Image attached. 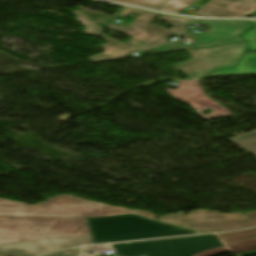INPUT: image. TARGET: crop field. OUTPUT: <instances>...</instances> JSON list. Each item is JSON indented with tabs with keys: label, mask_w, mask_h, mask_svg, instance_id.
Wrapping results in <instances>:
<instances>
[{
	"label": "crop field",
	"mask_w": 256,
	"mask_h": 256,
	"mask_svg": "<svg viewBox=\"0 0 256 256\" xmlns=\"http://www.w3.org/2000/svg\"><path fill=\"white\" fill-rule=\"evenodd\" d=\"M129 11L142 15L137 17L131 25L125 28H120L111 24L105 26L106 28L116 29L129 36L134 37L132 40L125 44L101 33L102 28L89 20L81 11H72V13L76 15L75 20L87 27L83 30L84 33L100 36L108 42V44H104L101 46L104 49L103 53L89 57L92 61L113 59L120 57L123 54L143 51L163 44L166 42V39L169 35L179 36L185 33L186 29L184 27L192 21V19L173 18L162 15L158 19L166 22L169 25H173L171 29L167 30L165 28L150 23L152 19L160 15L157 13L144 12L125 7L118 16L124 17L129 13Z\"/></svg>",
	"instance_id": "8a807250"
},
{
	"label": "crop field",
	"mask_w": 256,
	"mask_h": 256,
	"mask_svg": "<svg viewBox=\"0 0 256 256\" xmlns=\"http://www.w3.org/2000/svg\"><path fill=\"white\" fill-rule=\"evenodd\" d=\"M132 213L155 220V215L145 211L108 206L69 195L49 197L47 201L36 205L0 199L2 216L105 217Z\"/></svg>",
	"instance_id": "ac0d7876"
},
{
	"label": "crop field",
	"mask_w": 256,
	"mask_h": 256,
	"mask_svg": "<svg viewBox=\"0 0 256 256\" xmlns=\"http://www.w3.org/2000/svg\"><path fill=\"white\" fill-rule=\"evenodd\" d=\"M86 234H91L86 218L0 216V243Z\"/></svg>",
	"instance_id": "34b2d1b8"
},
{
	"label": "crop field",
	"mask_w": 256,
	"mask_h": 256,
	"mask_svg": "<svg viewBox=\"0 0 256 256\" xmlns=\"http://www.w3.org/2000/svg\"><path fill=\"white\" fill-rule=\"evenodd\" d=\"M87 220L94 243L195 233L141 216L125 215Z\"/></svg>",
	"instance_id": "412701ff"
},
{
	"label": "crop field",
	"mask_w": 256,
	"mask_h": 256,
	"mask_svg": "<svg viewBox=\"0 0 256 256\" xmlns=\"http://www.w3.org/2000/svg\"><path fill=\"white\" fill-rule=\"evenodd\" d=\"M121 256H213L229 251L213 234L111 244Z\"/></svg>",
	"instance_id": "f4fd0767"
},
{
	"label": "crop field",
	"mask_w": 256,
	"mask_h": 256,
	"mask_svg": "<svg viewBox=\"0 0 256 256\" xmlns=\"http://www.w3.org/2000/svg\"><path fill=\"white\" fill-rule=\"evenodd\" d=\"M246 48L247 44L242 43L189 50L192 58L175 68L191 79L197 78L216 68L235 66Z\"/></svg>",
	"instance_id": "dd49c442"
},
{
	"label": "crop field",
	"mask_w": 256,
	"mask_h": 256,
	"mask_svg": "<svg viewBox=\"0 0 256 256\" xmlns=\"http://www.w3.org/2000/svg\"><path fill=\"white\" fill-rule=\"evenodd\" d=\"M197 22L210 24L212 33L208 35L190 33L189 37L194 40V43L191 45H185L180 42L173 41L154 49L160 53H164L182 49L240 42L243 40L239 37V34L251 26V24L242 21H214L198 19Z\"/></svg>",
	"instance_id": "e52e79f7"
},
{
	"label": "crop field",
	"mask_w": 256,
	"mask_h": 256,
	"mask_svg": "<svg viewBox=\"0 0 256 256\" xmlns=\"http://www.w3.org/2000/svg\"><path fill=\"white\" fill-rule=\"evenodd\" d=\"M93 243L91 235L0 244V256H31L45 252Z\"/></svg>",
	"instance_id": "d8731c3e"
},
{
	"label": "crop field",
	"mask_w": 256,
	"mask_h": 256,
	"mask_svg": "<svg viewBox=\"0 0 256 256\" xmlns=\"http://www.w3.org/2000/svg\"><path fill=\"white\" fill-rule=\"evenodd\" d=\"M199 84L200 81H179L178 90L166 91L172 97L190 104L205 119L232 115L225 107L207 98ZM204 109H212L213 111L208 115H203L201 112Z\"/></svg>",
	"instance_id": "5a996713"
},
{
	"label": "crop field",
	"mask_w": 256,
	"mask_h": 256,
	"mask_svg": "<svg viewBox=\"0 0 256 256\" xmlns=\"http://www.w3.org/2000/svg\"><path fill=\"white\" fill-rule=\"evenodd\" d=\"M256 10V0H210L191 15L203 17H241Z\"/></svg>",
	"instance_id": "3316defc"
},
{
	"label": "crop field",
	"mask_w": 256,
	"mask_h": 256,
	"mask_svg": "<svg viewBox=\"0 0 256 256\" xmlns=\"http://www.w3.org/2000/svg\"><path fill=\"white\" fill-rule=\"evenodd\" d=\"M240 218H245V216L240 213L219 214L217 211L212 210H195L187 215L168 214L160 217L159 220L176 225H183Z\"/></svg>",
	"instance_id": "28ad6ade"
},
{
	"label": "crop field",
	"mask_w": 256,
	"mask_h": 256,
	"mask_svg": "<svg viewBox=\"0 0 256 256\" xmlns=\"http://www.w3.org/2000/svg\"><path fill=\"white\" fill-rule=\"evenodd\" d=\"M219 238L239 256L256 254V228L251 230L220 233Z\"/></svg>",
	"instance_id": "d1516ede"
},
{
	"label": "crop field",
	"mask_w": 256,
	"mask_h": 256,
	"mask_svg": "<svg viewBox=\"0 0 256 256\" xmlns=\"http://www.w3.org/2000/svg\"><path fill=\"white\" fill-rule=\"evenodd\" d=\"M247 219L230 220L212 223H202L193 225H183L181 227L189 228L198 231L199 233L204 232H215V231H226L243 229L256 225V211L245 214Z\"/></svg>",
	"instance_id": "22f410ed"
},
{
	"label": "crop field",
	"mask_w": 256,
	"mask_h": 256,
	"mask_svg": "<svg viewBox=\"0 0 256 256\" xmlns=\"http://www.w3.org/2000/svg\"><path fill=\"white\" fill-rule=\"evenodd\" d=\"M250 50H256V41L248 42ZM256 73V55L246 54L237 64L236 68L217 70L209 76L218 74H244Z\"/></svg>",
	"instance_id": "cbeb9de0"
},
{
	"label": "crop field",
	"mask_w": 256,
	"mask_h": 256,
	"mask_svg": "<svg viewBox=\"0 0 256 256\" xmlns=\"http://www.w3.org/2000/svg\"><path fill=\"white\" fill-rule=\"evenodd\" d=\"M230 140L256 155V132H251Z\"/></svg>",
	"instance_id": "5142ce71"
},
{
	"label": "crop field",
	"mask_w": 256,
	"mask_h": 256,
	"mask_svg": "<svg viewBox=\"0 0 256 256\" xmlns=\"http://www.w3.org/2000/svg\"><path fill=\"white\" fill-rule=\"evenodd\" d=\"M194 1L196 0H169L158 9L172 13H179Z\"/></svg>",
	"instance_id": "d9b57169"
},
{
	"label": "crop field",
	"mask_w": 256,
	"mask_h": 256,
	"mask_svg": "<svg viewBox=\"0 0 256 256\" xmlns=\"http://www.w3.org/2000/svg\"><path fill=\"white\" fill-rule=\"evenodd\" d=\"M116 2L126 3V4H132V5H138V6H144L149 8H156L159 5H161L166 0H112Z\"/></svg>",
	"instance_id": "733c2abd"
},
{
	"label": "crop field",
	"mask_w": 256,
	"mask_h": 256,
	"mask_svg": "<svg viewBox=\"0 0 256 256\" xmlns=\"http://www.w3.org/2000/svg\"><path fill=\"white\" fill-rule=\"evenodd\" d=\"M251 23L255 25V28L253 30H249L245 32L242 35L243 38L246 39L247 41L256 40V21H251Z\"/></svg>",
	"instance_id": "4a817a6b"
},
{
	"label": "crop field",
	"mask_w": 256,
	"mask_h": 256,
	"mask_svg": "<svg viewBox=\"0 0 256 256\" xmlns=\"http://www.w3.org/2000/svg\"><path fill=\"white\" fill-rule=\"evenodd\" d=\"M68 250L73 251L72 254H65V250H63V251L56 252V253L46 255V256H78L81 248L68 249Z\"/></svg>",
	"instance_id": "bc2a9ffb"
},
{
	"label": "crop field",
	"mask_w": 256,
	"mask_h": 256,
	"mask_svg": "<svg viewBox=\"0 0 256 256\" xmlns=\"http://www.w3.org/2000/svg\"><path fill=\"white\" fill-rule=\"evenodd\" d=\"M84 249H88V250H104V249H109V247H108V245H102V246L84 247Z\"/></svg>",
	"instance_id": "214f88e0"
},
{
	"label": "crop field",
	"mask_w": 256,
	"mask_h": 256,
	"mask_svg": "<svg viewBox=\"0 0 256 256\" xmlns=\"http://www.w3.org/2000/svg\"><path fill=\"white\" fill-rule=\"evenodd\" d=\"M115 6H117V5H115ZM118 7H122V6H118Z\"/></svg>",
	"instance_id": "92a150f3"
},
{
	"label": "crop field",
	"mask_w": 256,
	"mask_h": 256,
	"mask_svg": "<svg viewBox=\"0 0 256 256\" xmlns=\"http://www.w3.org/2000/svg\"><path fill=\"white\" fill-rule=\"evenodd\" d=\"M255 17H256V14H255Z\"/></svg>",
	"instance_id": "dafd665d"
}]
</instances>
